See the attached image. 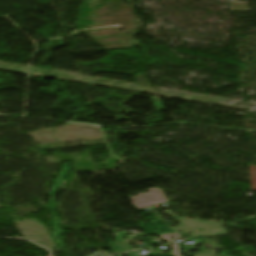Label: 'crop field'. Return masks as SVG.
<instances>
[{
    "instance_id": "8a807250",
    "label": "crop field",
    "mask_w": 256,
    "mask_h": 256,
    "mask_svg": "<svg viewBox=\"0 0 256 256\" xmlns=\"http://www.w3.org/2000/svg\"><path fill=\"white\" fill-rule=\"evenodd\" d=\"M180 221L182 222V224L180 226L173 227L174 230H181V229L213 222V221H204V220H198V219L188 220L184 218H181Z\"/></svg>"
},
{
    "instance_id": "ac0d7876",
    "label": "crop field",
    "mask_w": 256,
    "mask_h": 256,
    "mask_svg": "<svg viewBox=\"0 0 256 256\" xmlns=\"http://www.w3.org/2000/svg\"><path fill=\"white\" fill-rule=\"evenodd\" d=\"M222 231V233L216 235L215 233ZM226 232L224 231L223 228L220 229H215V230H209V231H204V232H200V233H196V234H192L190 236L192 237H196V236H202L204 238H208V237H214V236H220L225 234Z\"/></svg>"
},
{
    "instance_id": "34b2d1b8",
    "label": "crop field",
    "mask_w": 256,
    "mask_h": 256,
    "mask_svg": "<svg viewBox=\"0 0 256 256\" xmlns=\"http://www.w3.org/2000/svg\"><path fill=\"white\" fill-rule=\"evenodd\" d=\"M202 243L205 244L206 246H208V247L210 248V250H209L208 252L200 253V254H198V255H196V256H213V255H215L216 253L213 252L212 250H213L214 248L220 249L219 247L213 245L212 243H210V242H208V241H203ZM208 243L211 244V245H208Z\"/></svg>"
},
{
    "instance_id": "412701ff",
    "label": "crop field",
    "mask_w": 256,
    "mask_h": 256,
    "mask_svg": "<svg viewBox=\"0 0 256 256\" xmlns=\"http://www.w3.org/2000/svg\"><path fill=\"white\" fill-rule=\"evenodd\" d=\"M223 224H224L223 222H218V223H215V224L206 225V226L197 227V228H200L199 230H201V229L210 228V227H214V226H219V225H223ZM193 229H195V228L188 229V230H183L182 233H188V232H192V231H197V230H193Z\"/></svg>"
}]
</instances>
